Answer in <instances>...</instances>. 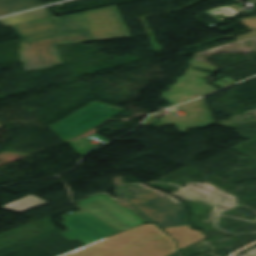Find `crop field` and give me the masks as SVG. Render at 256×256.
Returning a JSON list of instances; mask_svg holds the SVG:
<instances>
[{
	"instance_id": "1",
	"label": "crop field",
	"mask_w": 256,
	"mask_h": 256,
	"mask_svg": "<svg viewBox=\"0 0 256 256\" xmlns=\"http://www.w3.org/2000/svg\"><path fill=\"white\" fill-rule=\"evenodd\" d=\"M61 33L89 31L93 40L131 38L116 6L56 17Z\"/></svg>"
},
{
	"instance_id": "2",
	"label": "crop field",
	"mask_w": 256,
	"mask_h": 256,
	"mask_svg": "<svg viewBox=\"0 0 256 256\" xmlns=\"http://www.w3.org/2000/svg\"><path fill=\"white\" fill-rule=\"evenodd\" d=\"M92 41L88 32L58 34L19 42L24 70H34L61 65L57 45Z\"/></svg>"
},
{
	"instance_id": "3",
	"label": "crop field",
	"mask_w": 256,
	"mask_h": 256,
	"mask_svg": "<svg viewBox=\"0 0 256 256\" xmlns=\"http://www.w3.org/2000/svg\"><path fill=\"white\" fill-rule=\"evenodd\" d=\"M127 187L131 202L162 228L189 224L182 204L139 185Z\"/></svg>"
},
{
	"instance_id": "4",
	"label": "crop field",
	"mask_w": 256,
	"mask_h": 256,
	"mask_svg": "<svg viewBox=\"0 0 256 256\" xmlns=\"http://www.w3.org/2000/svg\"><path fill=\"white\" fill-rule=\"evenodd\" d=\"M120 111L122 109L94 102L49 128L67 142Z\"/></svg>"
},
{
	"instance_id": "5",
	"label": "crop field",
	"mask_w": 256,
	"mask_h": 256,
	"mask_svg": "<svg viewBox=\"0 0 256 256\" xmlns=\"http://www.w3.org/2000/svg\"><path fill=\"white\" fill-rule=\"evenodd\" d=\"M75 203L120 232L146 223L107 195L101 194Z\"/></svg>"
},
{
	"instance_id": "6",
	"label": "crop field",
	"mask_w": 256,
	"mask_h": 256,
	"mask_svg": "<svg viewBox=\"0 0 256 256\" xmlns=\"http://www.w3.org/2000/svg\"><path fill=\"white\" fill-rule=\"evenodd\" d=\"M189 65L190 66L187 69L186 73L183 76L178 77V82L169 88L172 90L162 94V97L173 105L183 103L191 99L211 93L213 91H216V89H214L212 86L206 84V80L197 77L200 76L205 78L210 74L190 69L191 66L194 65L207 70H211L213 71L212 73H214L217 71L216 66L208 65L193 60L189 62Z\"/></svg>"
},
{
	"instance_id": "7",
	"label": "crop field",
	"mask_w": 256,
	"mask_h": 256,
	"mask_svg": "<svg viewBox=\"0 0 256 256\" xmlns=\"http://www.w3.org/2000/svg\"><path fill=\"white\" fill-rule=\"evenodd\" d=\"M63 218L67 220L63 224L71 230L61 234L70 241L77 239L84 245L119 233L86 211H81Z\"/></svg>"
},
{
	"instance_id": "8",
	"label": "crop field",
	"mask_w": 256,
	"mask_h": 256,
	"mask_svg": "<svg viewBox=\"0 0 256 256\" xmlns=\"http://www.w3.org/2000/svg\"><path fill=\"white\" fill-rule=\"evenodd\" d=\"M12 28L21 41L60 33L55 18L23 24Z\"/></svg>"
},
{
	"instance_id": "9",
	"label": "crop field",
	"mask_w": 256,
	"mask_h": 256,
	"mask_svg": "<svg viewBox=\"0 0 256 256\" xmlns=\"http://www.w3.org/2000/svg\"><path fill=\"white\" fill-rule=\"evenodd\" d=\"M53 17L46 8H41L26 13L18 14L15 16L0 19L6 27L13 26L15 23L23 24L33 22L41 19H47Z\"/></svg>"
},
{
	"instance_id": "10",
	"label": "crop field",
	"mask_w": 256,
	"mask_h": 256,
	"mask_svg": "<svg viewBox=\"0 0 256 256\" xmlns=\"http://www.w3.org/2000/svg\"><path fill=\"white\" fill-rule=\"evenodd\" d=\"M42 5L38 0H0V16Z\"/></svg>"
},
{
	"instance_id": "11",
	"label": "crop field",
	"mask_w": 256,
	"mask_h": 256,
	"mask_svg": "<svg viewBox=\"0 0 256 256\" xmlns=\"http://www.w3.org/2000/svg\"><path fill=\"white\" fill-rule=\"evenodd\" d=\"M45 203H47V202H45L33 195H30L25 198H22L17 201L6 204V205L2 206L1 208L21 213L23 211L29 210L31 208L37 207V206L45 204Z\"/></svg>"
},
{
	"instance_id": "12",
	"label": "crop field",
	"mask_w": 256,
	"mask_h": 256,
	"mask_svg": "<svg viewBox=\"0 0 256 256\" xmlns=\"http://www.w3.org/2000/svg\"><path fill=\"white\" fill-rule=\"evenodd\" d=\"M116 194H117V202L121 204L122 206L133 210L135 213H137L141 218H143L147 223H153L149 219H147L143 214H141L137 209H135L130 203H128L125 195V189L124 187L116 188Z\"/></svg>"
}]
</instances>
